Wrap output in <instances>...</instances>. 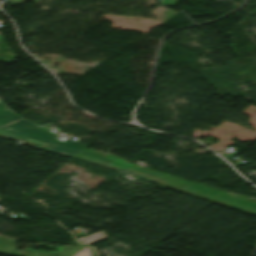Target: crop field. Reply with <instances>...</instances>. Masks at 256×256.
<instances>
[{
    "mask_svg": "<svg viewBox=\"0 0 256 256\" xmlns=\"http://www.w3.org/2000/svg\"><path fill=\"white\" fill-rule=\"evenodd\" d=\"M36 127L37 125L25 119H21L2 128L1 130L49 143L51 145L48 147V152L61 155H70L75 157L86 147H88L82 143H78L69 139L64 142L57 141L55 140L58 137L57 135L43 131Z\"/></svg>",
    "mask_w": 256,
    "mask_h": 256,
    "instance_id": "1",
    "label": "crop field"
},
{
    "mask_svg": "<svg viewBox=\"0 0 256 256\" xmlns=\"http://www.w3.org/2000/svg\"><path fill=\"white\" fill-rule=\"evenodd\" d=\"M79 246H62L58 251L49 253L26 249L19 251L18 247L13 245L10 240L0 237V253L13 256H73L79 249ZM36 253V255H34Z\"/></svg>",
    "mask_w": 256,
    "mask_h": 256,
    "instance_id": "2",
    "label": "crop field"
},
{
    "mask_svg": "<svg viewBox=\"0 0 256 256\" xmlns=\"http://www.w3.org/2000/svg\"><path fill=\"white\" fill-rule=\"evenodd\" d=\"M21 119L5 103L0 101V128Z\"/></svg>",
    "mask_w": 256,
    "mask_h": 256,
    "instance_id": "3",
    "label": "crop field"
},
{
    "mask_svg": "<svg viewBox=\"0 0 256 256\" xmlns=\"http://www.w3.org/2000/svg\"><path fill=\"white\" fill-rule=\"evenodd\" d=\"M74 256H91V255H90L89 248L83 247Z\"/></svg>",
    "mask_w": 256,
    "mask_h": 256,
    "instance_id": "4",
    "label": "crop field"
},
{
    "mask_svg": "<svg viewBox=\"0 0 256 256\" xmlns=\"http://www.w3.org/2000/svg\"><path fill=\"white\" fill-rule=\"evenodd\" d=\"M107 235H108V234L105 233V234H103V235H100V236H98V237H95V238H93V239H90V240H88V241H85V242H83V243H85V244H87V245H90V244H92V243H94V242H96V241H99V240L105 238Z\"/></svg>",
    "mask_w": 256,
    "mask_h": 256,
    "instance_id": "5",
    "label": "crop field"
},
{
    "mask_svg": "<svg viewBox=\"0 0 256 256\" xmlns=\"http://www.w3.org/2000/svg\"><path fill=\"white\" fill-rule=\"evenodd\" d=\"M178 2V0H162L161 4H165V5H176Z\"/></svg>",
    "mask_w": 256,
    "mask_h": 256,
    "instance_id": "6",
    "label": "crop field"
},
{
    "mask_svg": "<svg viewBox=\"0 0 256 256\" xmlns=\"http://www.w3.org/2000/svg\"><path fill=\"white\" fill-rule=\"evenodd\" d=\"M0 200H1V198H0Z\"/></svg>",
    "mask_w": 256,
    "mask_h": 256,
    "instance_id": "7",
    "label": "crop field"
}]
</instances>
